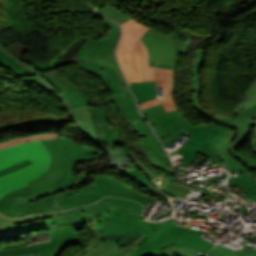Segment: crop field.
I'll list each match as a JSON object with an SVG mask.
<instances>
[{
    "mask_svg": "<svg viewBox=\"0 0 256 256\" xmlns=\"http://www.w3.org/2000/svg\"><path fill=\"white\" fill-rule=\"evenodd\" d=\"M174 220L150 223L135 215L96 210L99 234L118 246L136 239L128 251L135 256H144L176 245L189 246L206 254L215 245L199 237L205 232L189 229V225L178 226L173 223Z\"/></svg>",
    "mask_w": 256,
    "mask_h": 256,
    "instance_id": "1",
    "label": "crop field"
},
{
    "mask_svg": "<svg viewBox=\"0 0 256 256\" xmlns=\"http://www.w3.org/2000/svg\"><path fill=\"white\" fill-rule=\"evenodd\" d=\"M175 68L176 65L158 63L157 82L158 86L164 87V97L139 104L165 147L177 139L180 140L186 133L185 130L191 127L178 112L173 97Z\"/></svg>",
    "mask_w": 256,
    "mask_h": 256,
    "instance_id": "2",
    "label": "crop field"
},
{
    "mask_svg": "<svg viewBox=\"0 0 256 256\" xmlns=\"http://www.w3.org/2000/svg\"><path fill=\"white\" fill-rule=\"evenodd\" d=\"M29 158L34 164L0 178V198L6 193L27 185L45 173L50 155L41 141L29 142L0 150V169ZM46 167V168H44Z\"/></svg>",
    "mask_w": 256,
    "mask_h": 256,
    "instance_id": "3",
    "label": "crop field"
},
{
    "mask_svg": "<svg viewBox=\"0 0 256 256\" xmlns=\"http://www.w3.org/2000/svg\"><path fill=\"white\" fill-rule=\"evenodd\" d=\"M50 152L52 162L48 171L38 179L29 182L34 194L63 184L74 177L73 171L77 165L71 153L59 138L42 141Z\"/></svg>",
    "mask_w": 256,
    "mask_h": 256,
    "instance_id": "4",
    "label": "crop field"
},
{
    "mask_svg": "<svg viewBox=\"0 0 256 256\" xmlns=\"http://www.w3.org/2000/svg\"><path fill=\"white\" fill-rule=\"evenodd\" d=\"M104 196L130 198L146 204L148 196L137 192L115 178L106 176L95 177V185L87 190L78 192L71 197L57 201L58 206L71 208L96 202Z\"/></svg>",
    "mask_w": 256,
    "mask_h": 256,
    "instance_id": "5",
    "label": "crop field"
},
{
    "mask_svg": "<svg viewBox=\"0 0 256 256\" xmlns=\"http://www.w3.org/2000/svg\"><path fill=\"white\" fill-rule=\"evenodd\" d=\"M89 107L87 105L73 109L75 121L84 133L107 150L117 144L125 146L122 138L109 125L108 114L98 106L92 107L90 110Z\"/></svg>",
    "mask_w": 256,
    "mask_h": 256,
    "instance_id": "6",
    "label": "crop field"
},
{
    "mask_svg": "<svg viewBox=\"0 0 256 256\" xmlns=\"http://www.w3.org/2000/svg\"><path fill=\"white\" fill-rule=\"evenodd\" d=\"M107 167H115L112 163L109 164H105L102 166H98L95 168H92L86 172H83L81 174L76 175L73 179H71L70 181H68L67 183L63 184V185H58L56 187H53L51 189H48L46 191H43L41 193L36 194V196L31 197L29 199L23 200L21 202H19L18 204H16L15 206H13L11 209H9L8 211L2 213L8 217H18V216H23V215H30V214H36V213H42V212H48V211H54V210H60V209H66V208H61L58 207L57 204L55 203L54 199L60 200L62 198L68 197L78 191L84 190L92 185H94V183L92 185L86 186L84 188H80V189H76L74 191L65 193V194H61V195H57V196H53L50 197L42 202H35V199L40 198L41 196L44 195H48L51 193H55L61 190H65L68 189L72 186L78 185L80 183H83L86 179H87V174L91 171L94 170H103Z\"/></svg>",
    "mask_w": 256,
    "mask_h": 256,
    "instance_id": "7",
    "label": "crop field"
},
{
    "mask_svg": "<svg viewBox=\"0 0 256 256\" xmlns=\"http://www.w3.org/2000/svg\"><path fill=\"white\" fill-rule=\"evenodd\" d=\"M122 26V38L117 49L119 64L128 82L142 81L140 57L134 43L148 29L145 25L130 19Z\"/></svg>",
    "mask_w": 256,
    "mask_h": 256,
    "instance_id": "8",
    "label": "crop field"
},
{
    "mask_svg": "<svg viewBox=\"0 0 256 256\" xmlns=\"http://www.w3.org/2000/svg\"><path fill=\"white\" fill-rule=\"evenodd\" d=\"M54 225L86 220L91 228L95 242L77 253L75 256H106L119 247L105 237L98 234L95 229V204L86 207L70 209L66 211L51 213Z\"/></svg>",
    "mask_w": 256,
    "mask_h": 256,
    "instance_id": "9",
    "label": "crop field"
},
{
    "mask_svg": "<svg viewBox=\"0 0 256 256\" xmlns=\"http://www.w3.org/2000/svg\"><path fill=\"white\" fill-rule=\"evenodd\" d=\"M89 38H79L69 44L63 51L57 56L61 57V65L78 62L80 66L86 71L99 76L104 80L108 89L112 92H123L129 90L126 83L113 71L93 62H82L77 59V52L81 44Z\"/></svg>",
    "mask_w": 256,
    "mask_h": 256,
    "instance_id": "10",
    "label": "crop field"
},
{
    "mask_svg": "<svg viewBox=\"0 0 256 256\" xmlns=\"http://www.w3.org/2000/svg\"><path fill=\"white\" fill-rule=\"evenodd\" d=\"M130 123H132L134 128L139 133L142 141H139L137 143L147 155L142 152V150L136 145V143H133L132 145L148 159L149 163L159 168L168 163L169 159L166 157L162 147L160 146L153 132L150 130L146 121L140 118ZM162 162H164V164H162Z\"/></svg>",
    "mask_w": 256,
    "mask_h": 256,
    "instance_id": "11",
    "label": "crop field"
},
{
    "mask_svg": "<svg viewBox=\"0 0 256 256\" xmlns=\"http://www.w3.org/2000/svg\"><path fill=\"white\" fill-rule=\"evenodd\" d=\"M69 243H83L77 232L51 241L34 244L22 248L0 249V256L18 255L27 252H39L40 256H58Z\"/></svg>",
    "mask_w": 256,
    "mask_h": 256,
    "instance_id": "12",
    "label": "crop field"
},
{
    "mask_svg": "<svg viewBox=\"0 0 256 256\" xmlns=\"http://www.w3.org/2000/svg\"><path fill=\"white\" fill-rule=\"evenodd\" d=\"M140 39L149 51V60L171 64L174 48L171 38L150 27Z\"/></svg>",
    "mask_w": 256,
    "mask_h": 256,
    "instance_id": "13",
    "label": "crop field"
},
{
    "mask_svg": "<svg viewBox=\"0 0 256 256\" xmlns=\"http://www.w3.org/2000/svg\"><path fill=\"white\" fill-rule=\"evenodd\" d=\"M190 134V139L177 151L188 160L179 164V166L187 167L195 159L201 148L206 143L211 131L205 125L204 127L196 124L192 128L186 130Z\"/></svg>",
    "mask_w": 256,
    "mask_h": 256,
    "instance_id": "14",
    "label": "crop field"
},
{
    "mask_svg": "<svg viewBox=\"0 0 256 256\" xmlns=\"http://www.w3.org/2000/svg\"><path fill=\"white\" fill-rule=\"evenodd\" d=\"M113 50L114 48L109 43L106 36L105 39L91 45L88 49L87 55L89 56L90 60H93L113 70L124 80L114 59Z\"/></svg>",
    "mask_w": 256,
    "mask_h": 256,
    "instance_id": "15",
    "label": "crop field"
},
{
    "mask_svg": "<svg viewBox=\"0 0 256 256\" xmlns=\"http://www.w3.org/2000/svg\"><path fill=\"white\" fill-rule=\"evenodd\" d=\"M209 128L212 130V133L199 154L204 157H210L211 162L208 164L209 166L214 164L215 162L222 161L219 155L217 154V146L225 139H227L228 135L232 131L230 128L208 124Z\"/></svg>",
    "mask_w": 256,
    "mask_h": 256,
    "instance_id": "16",
    "label": "crop field"
},
{
    "mask_svg": "<svg viewBox=\"0 0 256 256\" xmlns=\"http://www.w3.org/2000/svg\"><path fill=\"white\" fill-rule=\"evenodd\" d=\"M244 95L248 98L234 106L232 110L234 113L244 116L249 125H256V78Z\"/></svg>",
    "mask_w": 256,
    "mask_h": 256,
    "instance_id": "17",
    "label": "crop field"
},
{
    "mask_svg": "<svg viewBox=\"0 0 256 256\" xmlns=\"http://www.w3.org/2000/svg\"><path fill=\"white\" fill-rule=\"evenodd\" d=\"M237 135V131L233 130L229 136V138L225 141H223L219 146H218V154L224 160L226 169L227 171H236L237 169L242 172V174L248 173L246 167L242 165L240 162L237 160L233 159L230 154V145L234 141L235 137Z\"/></svg>",
    "mask_w": 256,
    "mask_h": 256,
    "instance_id": "18",
    "label": "crop field"
},
{
    "mask_svg": "<svg viewBox=\"0 0 256 256\" xmlns=\"http://www.w3.org/2000/svg\"><path fill=\"white\" fill-rule=\"evenodd\" d=\"M60 139L68 148V150L72 153L74 159H76L78 164L84 161H89L94 158L102 157V154L98 151L92 150L80 144H76L67 138L60 137Z\"/></svg>",
    "mask_w": 256,
    "mask_h": 256,
    "instance_id": "19",
    "label": "crop field"
},
{
    "mask_svg": "<svg viewBox=\"0 0 256 256\" xmlns=\"http://www.w3.org/2000/svg\"><path fill=\"white\" fill-rule=\"evenodd\" d=\"M203 62H204V50H198L196 53V56H195L194 63H193L194 68L191 73L192 82H193L192 90L195 92V93H193V102L196 106V109L201 108V109L205 110L199 101V97H200L201 91H202L199 73H200L201 65ZM209 113H211V112H209ZM211 114H213V113H211ZM213 115H215V114H213ZM215 116L218 117L217 115H215Z\"/></svg>",
    "mask_w": 256,
    "mask_h": 256,
    "instance_id": "20",
    "label": "crop field"
},
{
    "mask_svg": "<svg viewBox=\"0 0 256 256\" xmlns=\"http://www.w3.org/2000/svg\"><path fill=\"white\" fill-rule=\"evenodd\" d=\"M168 36L171 37L175 42L172 64H177L179 53L187 52L188 46H189L190 41H191L192 38L201 37L198 34H194V33L188 32V31H184V30H181L179 28L176 32H174V33H172Z\"/></svg>",
    "mask_w": 256,
    "mask_h": 256,
    "instance_id": "21",
    "label": "crop field"
},
{
    "mask_svg": "<svg viewBox=\"0 0 256 256\" xmlns=\"http://www.w3.org/2000/svg\"><path fill=\"white\" fill-rule=\"evenodd\" d=\"M217 120L223 123L232 124L238 129V136L233 142V145L231 146V150L237 149L248 137L250 126L248 125L249 123L247 124V122L243 117L238 116L234 119H231L227 115H222Z\"/></svg>",
    "mask_w": 256,
    "mask_h": 256,
    "instance_id": "22",
    "label": "crop field"
},
{
    "mask_svg": "<svg viewBox=\"0 0 256 256\" xmlns=\"http://www.w3.org/2000/svg\"><path fill=\"white\" fill-rule=\"evenodd\" d=\"M42 75L48 79V81L58 90L60 94L75 87L78 90V92L83 96V98L87 101V103L91 105L92 101L86 96V94L81 89H79L73 83L64 79L58 73L50 70L46 73H43Z\"/></svg>",
    "mask_w": 256,
    "mask_h": 256,
    "instance_id": "23",
    "label": "crop field"
},
{
    "mask_svg": "<svg viewBox=\"0 0 256 256\" xmlns=\"http://www.w3.org/2000/svg\"><path fill=\"white\" fill-rule=\"evenodd\" d=\"M135 44L140 52L143 81L155 80L156 62L148 61V52L140 40Z\"/></svg>",
    "mask_w": 256,
    "mask_h": 256,
    "instance_id": "24",
    "label": "crop field"
},
{
    "mask_svg": "<svg viewBox=\"0 0 256 256\" xmlns=\"http://www.w3.org/2000/svg\"><path fill=\"white\" fill-rule=\"evenodd\" d=\"M31 196H34V194L29 188V186L9 193L0 200V212L2 213L8 210L19 201Z\"/></svg>",
    "mask_w": 256,
    "mask_h": 256,
    "instance_id": "25",
    "label": "crop field"
},
{
    "mask_svg": "<svg viewBox=\"0 0 256 256\" xmlns=\"http://www.w3.org/2000/svg\"><path fill=\"white\" fill-rule=\"evenodd\" d=\"M131 89L134 92L138 102H143L149 99L156 98L155 81L135 82L132 83Z\"/></svg>",
    "mask_w": 256,
    "mask_h": 256,
    "instance_id": "26",
    "label": "crop field"
},
{
    "mask_svg": "<svg viewBox=\"0 0 256 256\" xmlns=\"http://www.w3.org/2000/svg\"><path fill=\"white\" fill-rule=\"evenodd\" d=\"M231 181L232 185L237 184L247 196L250 195L252 197L250 203L256 201V180L250 175V173L245 176L235 178Z\"/></svg>",
    "mask_w": 256,
    "mask_h": 256,
    "instance_id": "27",
    "label": "crop field"
},
{
    "mask_svg": "<svg viewBox=\"0 0 256 256\" xmlns=\"http://www.w3.org/2000/svg\"><path fill=\"white\" fill-rule=\"evenodd\" d=\"M0 64L4 67L11 69L15 72L16 76L26 77V76H33L34 74L19 64L17 61L12 59L10 56L6 55V53L0 50Z\"/></svg>",
    "mask_w": 256,
    "mask_h": 256,
    "instance_id": "28",
    "label": "crop field"
},
{
    "mask_svg": "<svg viewBox=\"0 0 256 256\" xmlns=\"http://www.w3.org/2000/svg\"><path fill=\"white\" fill-rule=\"evenodd\" d=\"M96 209H110L131 214L127 203L123 202L120 198L115 197L103 198L96 203Z\"/></svg>",
    "mask_w": 256,
    "mask_h": 256,
    "instance_id": "29",
    "label": "crop field"
},
{
    "mask_svg": "<svg viewBox=\"0 0 256 256\" xmlns=\"http://www.w3.org/2000/svg\"><path fill=\"white\" fill-rule=\"evenodd\" d=\"M85 221H80V222H75V223H70V224H64L60 226H54L53 224L49 226L47 229L49 230V235L50 239L73 233L75 232L78 228H80Z\"/></svg>",
    "mask_w": 256,
    "mask_h": 256,
    "instance_id": "30",
    "label": "crop field"
},
{
    "mask_svg": "<svg viewBox=\"0 0 256 256\" xmlns=\"http://www.w3.org/2000/svg\"><path fill=\"white\" fill-rule=\"evenodd\" d=\"M96 12L110 19L115 20L120 24H123L125 21L130 19L129 16L125 15L124 13H122L115 7L111 6L110 4L96 10Z\"/></svg>",
    "mask_w": 256,
    "mask_h": 256,
    "instance_id": "31",
    "label": "crop field"
},
{
    "mask_svg": "<svg viewBox=\"0 0 256 256\" xmlns=\"http://www.w3.org/2000/svg\"><path fill=\"white\" fill-rule=\"evenodd\" d=\"M210 254H214V255H218V256H256V249L253 248L249 252L242 248L241 250L236 252L228 247L224 248V247L218 245L210 252Z\"/></svg>",
    "mask_w": 256,
    "mask_h": 256,
    "instance_id": "32",
    "label": "crop field"
},
{
    "mask_svg": "<svg viewBox=\"0 0 256 256\" xmlns=\"http://www.w3.org/2000/svg\"><path fill=\"white\" fill-rule=\"evenodd\" d=\"M69 121H73L72 118H66V117L37 118V119H33V120H28V121H23V122H16V123H13V124L0 126V131L8 129V128L15 127V126H19V125H24V124L42 123V122L60 123V122H69Z\"/></svg>",
    "mask_w": 256,
    "mask_h": 256,
    "instance_id": "33",
    "label": "crop field"
},
{
    "mask_svg": "<svg viewBox=\"0 0 256 256\" xmlns=\"http://www.w3.org/2000/svg\"><path fill=\"white\" fill-rule=\"evenodd\" d=\"M52 223H53L52 218H49V219L35 221L31 223L18 224V229H19V233L22 234V233L45 229Z\"/></svg>",
    "mask_w": 256,
    "mask_h": 256,
    "instance_id": "34",
    "label": "crop field"
},
{
    "mask_svg": "<svg viewBox=\"0 0 256 256\" xmlns=\"http://www.w3.org/2000/svg\"><path fill=\"white\" fill-rule=\"evenodd\" d=\"M62 96L71 105L72 108L87 104L75 88L62 94Z\"/></svg>",
    "mask_w": 256,
    "mask_h": 256,
    "instance_id": "35",
    "label": "crop field"
},
{
    "mask_svg": "<svg viewBox=\"0 0 256 256\" xmlns=\"http://www.w3.org/2000/svg\"><path fill=\"white\" fill-rule=\"evenodd\" d=\"M48 217H52L50 213L31 215V216H27V217L19 218V219L5 218V217H2L0 214V222L16 224V223H24V222H30V221H34V220L44 219V218H48Z\"/></svg>",
    "mask_w": 256,
    "mask_h": 256,
    "instance_id": "36",
    "label": "crop field"
},
{
    "mask_svg": "<svg viewBox=\"0 0 256 256\" xmlns=\"http://www.w3.org/2000/svg\"><path fill=\"white\" fill-rule=\"evenodd\" d=\"M19 235L17 225L0 223V240L12 238Z\"/></svg>",
    "mask_w": 256,
    "mask_h": 256,
    "instance_id": "37",
    "label": "crop field"
},
{
    "mask_svg": "<svg viewBox=\"0 0 256 256\" xmlns=\"http://www.w3.org/2000/svg\"><path fill=\"white\" fill-rule=\"evenodd\" d=\"M120 94H121V97H122L128 111L133 116V118L134 119L140 118L141 116L139 115L138 111L136 110L134 100H133L130 92L127 91V92H123V93H120Z\"/></svg>",
    "mask_w": 256,
    "mask_h": 256,
    "instance_id": "38",
    "label": "crop field"
},
{
    "mask_svg": "<svg viewBox=\"0 0 256 256\" xmlns=\"http://www.w3.org/2000/svg\"><path fill=\"white\" fill-rule=\"evenodd\" d=\"M230 154L233 158L238 159L242 164H244L249 171L256 168V159L253 157L237 153L236 150L231 151Z\"/></svg>",
    "mask_w": 256,
    "mask_h": 256,
    "instance_id": "39",
    "label": "crop field"
},
{
    "mask_svg": "<svg viewBox=\"0 0 256 256\" xmlns=\"http://www.w3.org/2000/svg\"><path fill=\"white\" fill-rule=\"evenodd\" d=\"M114 23L109 20H106V19L103 20V25L110 26L112 28L108 32V38H109L111 44L113 45V47H115V44H116L119 34H120L119 25L114 24Z\"/></svg>",
    "mask_w": 256,
    "mask_h": 256,
    "instance_id": "40",
    "label": "crop field"
},
{
    "mask_svg": "<svg viewBox=\"0 0 256 256\" xmlns=\"http://www.w3.org/2000/svg\"><path fill=\"white\" fill-rule=\"evenodd\" d=\"M112 101L117 104L120 109V113L123 119L127 120L128 122L134 120L132 116L127 111L119 93L112 94Z\"/></svg>",
    "mask_w": 256,
    "mask_h": 256,
    "instance_id": "41",
    "label": "crop field"
},
{
    "mask_svg": "<svg viewBox=\"0 0 256 256\" xmlns=\"http://www.w3.org/2000/svg\"><path fill=\"white\" fill-rule=\"evenodd\" d=\"M169 256H204L186 247H172Z\"/></svg>",
    "mask_w": 256,
    "mask_h": 256,
    "instance_id": "42",
    "label": "crop field"
},
{
    "mask_svg": "<svg viewBox=\"0 0 256 256\" xmlns=\"http://www.w3.org/2000/svg\"><path fill=\"white\" fill-rule=\"evenodd\" d=\"M57 136H59V135H56V134H44V135H40V136L23 138V139L11 141V142L2 143V144H0V149L1 148H5V147H9V146H12V145L24 143V142H27V141H31V140L43 139V138H49V137H57Z\"/></svg>",
    "mask_w": 256,
    "mask_h": 256,
    "instance_id": "43",
    "label": "crop field"
},
{
    "mask_svg": "<svg viewBox=\"0 0 256 256\" xmlns=\"http://www.w3.org/2000/svg\"><path fill=\"white\" fill-rule=\"evenodd\" d=\"M60 63V58L57 56L50 62L46 64H35L33 63V66L36 70H38L40 73L46 72L52 68L58 67Z\"/></svg>",
    "mask_w": 256,
    "mask_h": 256,
    "instance_id": "44",
    "label": "crop field"
},
{
    "mask_svg": "<svg viewBox=\"0 0 256 256\" xmlns=\"http://www.w3.org/2000/svg\"><path fill=\"white\" fill-rule=\"evenodd\" d=\"M122 200L128 203L132 214L142 217L143 206L141 204H139L135 201H132V200H128V199H122Z\"/></svg>",
    "mask_w": 256,
    "mask_h": 256,
    "instance_id": "45",
    "label": "crop field"
},
{
    "mask_svg": "<svg viewBox=\"0 0 256 256\" xmlns=\"http://www.w3.org/2000/svg\"><path fill=\"white\" fill-rule=\"evenodd\" d=\"M132 178H134L136 181L151 187L149 180L146 178V176L142 175L137 171V169H134L132 171L127 172ZM152 188V187H151Z\"/></svg>",
    "mask_w": 256,
    "mask_h": 256,
    "instance_id": "46",
    "label": "crop field"
},
{
    "mask_svg": "<svg viewBox=\"0 0 256 256\" xmlns=\"http://www.w3.org/2000/svg\"><path fill=\"white\" fill-rule=\"evenodd\" d=\"M29 164H32V162L29 159H27V160L22 161V162L14 165V166L8 167V168L3 169V170H0V176H3L5 174H8V173L13 172L15 170H18L22 167H25V166L29 165Z\"/></svg>",
    "mask_w": 256,
    "mask_h": 256,
    "instance_id": "47",
    "label": "crop field"
},
{
    "mask_svg": "<svg viewBox=\"0 0 256 256\" xmlns=\"http://www.w3.org/2000/svg\"><path fill=\"white\" fill-rule=\"evenodd\" d=\"M101 40V39H100ZM99 41V40H98ZM96 42V40H94L93 38L87 40L85 43H83L79 53H78V58L82 61H87L89 60L87 55H86V52H87V48L90 44Z\"/></svg>",
    "mask_w": 256,
    "mask_h": 256,
    "instance_id": "48",
    "label": "crop field"
},
{
    "mask_svg": "<svg viewBox=\"0 0 256 256\" xmlns=\"http://www.w3.org/2000/svg\"><path fill=\"white\" fill-rule=\"evenodd\" d=\"M22 80L27 81V82H31V83L41 87L42 89L48 91V92H52L48 88V86L38 76L26 77V78H22Z\"/></svg>",
    "mask_w": 256,
    "mask_h": 256,
    "instance_id": "49",
    "label": "crop field"
},
{
    "mask_svg": "<svg viewBox=\"0 0 256 256\" xmlns=\"http://www.w3.org/2000/svg\"><path fill=\"white\" fill-rule=\"evenodd\" d=\"M169 250H170V248H168V249H166V250H164V251H162V252H158V251H157V252H154V253L149 254V255H147V256H168ZM108 256H133V255H131V254L127 253V252L122 253L121 251L119 252V251L117 250V251L113 252L112 254H110V255H108Z\"/></svg>",
    "mask_w": 256,
    "mask_h": 256,
    "instance_id": "50",
    "label": "crop field"
},
{
    "mask_svg": "<svg viewBox=\"0 0 256 256\" xmlns=\"http://www.w3.org/2000/svg\"><path fill=\"white\" fill-rule=\"evenodd\" d=\"M131 154V156L134 158V160L136 161V163L143 169L145 170L152 179L158 177V175H156L153 171L147 169L131 152H129Z\"/></svg>",
    "mask_w": 256,
    "mask_h": 256,
    "instance_id": "51",
    "label": "crop field"
},
{
    "mask_svg": "<svg viewBox=\"0 0 256 256\" xmlns=\"http://www.w3.org/2000/svg\"><path fill=\"white\" fill-rule=\"evenodd\" d=\"M207 159L202 157L201 155L198 154V156L196 157L195 161H193V163L196 164L197 167H199L202 163H204Z\"/></svg>",
    "mask_w": 256,
    "mask_h": 256,
    "instance_id": "52",
    "label": "crop field"
},
{
    "mask_svg": "<svg viewBox=\"0 0 256 256\" xmlns=\"http://www.w3.org/2000/svg\"><path fill=\"white\" fill-rule=\"evenodd\" d=\"M161 169H163V170H165V171H167V172H169V173H173V174H175L176 172L175 171H172V170H169L168 169V166H163V167H161Z\"/></svg>",
    "mask_w": 256,
    "mask_h": 256,
    "instance_id": "53",
    "label": "crop field"
},
{
    "mask_svg": "<svg viewBox=\"0 0 256 256\" xmlns=\"http://www.w3.org/2000/svg\"><path fill=\"white\" fill-rule=\"evenodd\" d=\"M18 256H39V253H27V254L18 255Z\"/></svg>",
    "mask_w": 256,
    "mask_h": 256,
    "instance_id": "54",
    "label": "crop field"
},
{
    "mask_svg": "<svg viewBox=\"0 0 256 256\" xmlns=\"http://www.w3.org/2000/svg\"><path fill=\"white\" fill-rule=\"evenodd\" d=\"M251 146V145H250ZM251 150H253L254 152H256V139L255 141L253 142L252 146L250 147Z\"/></svg>",
    "mask_w": 256,
    "mask_h": 256,
    "instance_id": "55",
    "label": "crop field"
},
{
    "mask_svg": "<svg viewBox=\"0 0 256 256\" xmlns=\"http://www.w3.org/2000/svg\"><path fill=\"white\" fill-rule=\"evenodd\" d=\"M236 240H238V241H243L244 239L243 238H241V237H238V238H235Z\"/></svg>",
    "mask_w": 256,
    "mask_h": 256,
    "instance_id": "56",
    "label": "crop field"
},
{
    "mask_svg": "<svg viewBox=\"0 0 256 256\" xmlns=\"http://www.w3.org/2000/svg\"><path fill=\"white\" fill-rule=\"evenodd\" d=\"M208 256H214V255H210V254H208Z\"/></svg>",
    "mask_w": 256,
    "mask_h": 256,
    "instance_id": "57",
    "label": "crop field"
}]
</instances>
